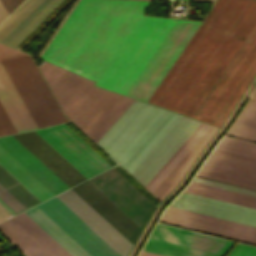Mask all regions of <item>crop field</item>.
Masks as SVG:
<instances>
[{
    "label": "crop field",
    "mask_w": 256,
    "mask_h": 256,
    "mask_svg": "<svg viewBox=\"0 0 256 256\" xmlns=\"http://www.w3.org/2000/svg\"><path fill=\"white\" fill-rule=\"evenodd\" d=\"M25 213L73 256H121L56 197ZM25 213L0 231L27 256H72Z\"/></svg>",
    "instance_id": "obj_3"
},
{
    "label": "crop field",
    "mask_w": 256,
    "mask_h": 256,
    "mask_svg": "<svg viewBox=\"0 0 256 256\" xmlns=\"http://www.w3.org/2000/svg\"><path fill=\"white\" fill-rule=\"evenodd\" d=\"M0 146L54 195L69 188L12 135L0 137Z\"/></svg>",
    "instance_id": "obj_13"
},
{
    "label": "crop field",
    "mask_w": 256,
    "mask_h": 256,
    "mask_svg": "<svg viewBox=\"0 0 256 256\" xmlns=\"http://www.w3.org/2000/svg\"><path fill=\"white\" fill-rule=\"evenodd\" d=\"M63 0H52L8 45L16 47L41 21H43Z\"/></svg>",
    "instance_id": "obj_21"
},
{
    "label": "crop field",
    "mask_w": 256,
    "mask_h": 256,
    "mask_svg": "<svg viewBox=\"0 0 256 256\" xmlns=\"http://www.w3.org/2000/svg\"><path fill=\"white\" fill-rule=\"evenodd\" d=\"M35 132L86 179L110 168L63 124L35 130Z\"/></svg>",
    "instance_id": "obj_5"
},
{
    "label": "crop field",
    "mask_w": 256,
    "mask_h": 256,
    "mask_svg": "<svg viewBox=\"0 0 256 256\" xmlns=\"http://www.w3.org/2000/svg\"><path fill=\"white\" fill-rule=\"evenodd\" d=\"M69 187L85 180L34 131L13 135Z\"/></svg>",
    "instance_id": "obj_12"
},
{
    "label": "crop field",
    "mask_w": 256,
    "mask_h": 256,
    "mask_svg": "<svg viewBox=\"0 0 256 256\" xmlns=\"http://www.w3.org/2000/svg\"><path fill=\"white\" fill-rule=\"evenodd\" d=\"M0 61L37 128L67 121L30 55L0 43Z\"/></svg>",
    "instance_id": "obj_4"
},
{
    "label": "crop field",
    "mask_w": 256,
    "mask_h": 256,
    "mask_svg": "<svg viewBox=\"0 0 256 256\" xmlns=\"http://www.w3.org/2000/svg\"><path fill=\"white\" fill-rule=\"evenodd\" d=\"M250 101H251V102H255V103H256V100H254V99H250Z\"/></svg>",
    "instance_id": "obj_28"
},
{
    "label": "crop field",
    "mask_w": 256,
    "mask_h": 256,
    "mask_svg": "<svg viewBox=\"0 0 256 256\" xmlns=\"http://www.w3.org/2000/svg\"><path fill=\"white\" fill-rule=\"evenodd\" d=\"M185 192L256 209V198L191 182Z\"/></svg>",
    "instance_id": "obj_17"
},
{
    "label": "crop field",
    "mask_w": 256,
    "mask_h": 256,
    "mask_svg": "<svg viewBox=\"0 0 256 256\" xmlns=\"http://www.w3.org/2000/svg\"><path fill=\"white\" fill-rule=\"evenodd\" d=\"M143 250L164 256H220L151 238H148Z\"/></svg>",
    "instance_id": "obj_19"
},
{
    "label": "crop field",
    "mask_w": 256,
    "mask_h": 256,
    "mask_svg": "<svg viewBox=\"0 0 256 256\" xmlns=\"http://www.w3.org/2000/svg\"><path fill=\"white\" fill-rule=\"evenodd\" d=\"M39 69L66 115L92 83L45 61ZM139 102L91 85L67 116L102 147ZM177 115L141 101L102 148L130 171ZM215 129L179 114L130 173L161 200Z\"/></svg>",
    "instance_id": "obj_2"
},
{
    "label": "crop field",
    "mask_w": 256,
    "mask_h": 256,
    "mask_svg": "<svg viewBox=\"0 0 256 256\" xmlns=\"http://www.w3.org/2000/svg\"><path fill=\"white\" fill-rule=\"evenodd\" d=\"M139 256H160V255H156V254L141 251Z\"/></svg>",
    "instance_id": "obj_26"
},
{
    "label": "crop field",
    "mask_w": 256,
    "mask_h": 256,
    "mask_svg": "<svg viewBox=\"0 0 256 256\" xmlns=\"http://www.w3.org/2000/svg\"><path fill=\"white\" fill-rule=\"evenodd\" d=\"M71 189L133 244L141 229L95 186L87 180Z\"/></svg>",
    "instance_id": "obj_11"
},
{
    "label": "crop field",
    "mask_w": 256,
    "mask_h": 256,
    "mask_svg": "<svg viewBox=\"0 0 256 256\" xmlns=\"http://www.w3.org/2000/svg\"><path fill=\"white\" fill-rule=\"evenodd\" d=\"M227 135L256 142V104L248 102Z\"/></svg>",
    "instance_id": "obj_18"
},
{
    "label": "crop field",
    "mask_w": 256,
    "mask_h": 256,
    "mask_svg": "<svg viewBox=\"0 0 256 256\" xmlns=\"http://www.w3.org/2000/svg\"><path fill=\"white\" fill-rule=\"evenodd\" d=\"M249 97L256 98V87L253 89Z\"/></svg>",
    "instance_id": "obj_27"
},
{
    "label": "crop field",
    "mask_w": 256,
    "mask_h": 256,
    "mask_svg": "<svg viewBox=\"0 0 256 256\" xmlns=\"http://www.w3.org/2000/svg\"><path fill=\"white\" fill-rule=\"evenodd\" d=\"M0 101L18 132L36 128L19 95L0 63ZM0 103V135L16 133L17 130Z\"/></svg>",
    "instance_id": "obj_10"
},
{
    "label": "crop field",
    "mask_w": 256,
    "mask_h": 256,
    "mask_svg": "<svg viewBox=\"0 0 256 256\" xmlns=\"http://www.w3.org/2000/svg\"><path fill=\"white\" fill-rule=\"evenodd\" d=\"M7 16L8 15H7L5 9L3 8V6L0 2V23H2L6 19Z\"/></svg>",
    "instance_id": "obj_25"
},
{
    "label": "crop field",
    "mask_w": 256,
    "mask_h": 256,
    "mask_svg": "<svg viewBox=\"0 0 256 256\" xmlns=\"http://www.w3.org/2000/svg\"><path fill=\"white\" fill-rule=\"evenodd\" d=\"M216 148L256 158V144L236 139L224 137Z\"/></svg>",
    "instance_id": "obj_22"
},
{
    "label": "crop field",
    "mask_w": 256,
    "mask_h": 256,
    "mask_svg": "<svg viewBox=\"0 0 256 256\" xmlns=\"http://www.w3.org/2000/svg\"><path fill=\"white\" fill-rule=\"evenodd\" d=\"M228 256H256V247L238 243Z\"/></svg>",
    "instance_id": "obj_24"
},
{
    "label": "crop field",
    "mask_w": 256,
    "mask_h": 256,
    "mask_svg": "<svg viewBox=\"0 0 256 256\" xmlns=\"http://www.w3.org/2000/svg\"><path fill=\"white\" fill-rule=\"evenodd\" d=\"M192 181L210 185V186H214V187H218V188L235 191V192H239V193H243V194H247V195H251V196H256V192H253V191H249V190H245V189H241V188H237V187H233V186H229V185H225V184H221V183H217V182H213V181H209V180H205V179H201V178H197V177H194Z\"/></svg>",
    "instance_id": "obj_23"
},
{
    "label": "crop field",
    "mask_w": 256,
    "mask_h": 256,
    "mask_svg": "<svg viewBox=\"0 0 256 256\" xmlns=\"http://www.w3.org/2000/svg\"><path fill=\"white\" fill-rule=\"evenodd\" d=\"M56 197L100 235L108 244H110L118 253L122 256H126L132 244L77 194L69 189Z\"/></svg>",
    "instance_id": "obj_8"
},
{
    "label": "crop field",
    "mask_w": 256,
    "mask_h": 256,
    "mask_svg": "<svg viewBox=\"0 0 256 256\" xmlns=\"http://www.w3.org/2000/svg\"><path fill=\"white\" fill-rule=\"evenodd\" d=\"M0 164L41 201L53 196L40 182L0 147Z\"/></svg>",
    "instance_id": "obj_16"
},
{
    "label": "crop field",
    "mask_w": 256,
    "mask_h": 256,
    "mask_svg": "<svg viewBox=\"0 0 256 256\" xmlns=\"http://www.w3.org/2000/svg\"><path fill=\"white\" fill-rule=\"evenodd\" d=\"M0 185L26 209L40 203L28 189L17 181L0 165ZM0 186V222L25 210L10 194Z\"/></svg>",
    "instance_id": "obj_15"
},
{
    "label": "crop field",
    "mask_w": 256,
    "mask_h": 256,
    "mask_svg": "<svg viewBox=\"0 0 256 256\" xmlns=\"http://www.w3.org/2000/svg\"><path fill=\"white\" fill-rule=\"evenodd\" d=\"M149 1L81 0L41 59L94 81ZM201 22L141 15L95 85L148 101ZM256 74V0H217L148 102L220 127Z\"/></svg>",
    "instance_id": "obj_1"
},
{
    "label": "crop field",
    "mask_w": 256,
    "mask_h": 256,
    "mask_svg": "<svg viewBox=\"0 0 256 256\" xmlns=\"http://www.w3.org/2000/svg\"><path fill=\"white\" fill-rule=\"evenodd\" d=\"M197 175L256 189V159L214 149Z\"/></svg>",
    "instance_id": "obj_7"
},
{
    "label": "crop field",
    "mask_w": 256,
    "mask_h": 256,
    "mask_svg": "<svg viewBox=\"0 0 256 256\" xmlns=\"http://www.w3.org/2000/svg\"><path fill=\"white\" fill-rule=\"evenodd\" d=\"M151 238L223 255L233 242L156 224Z\"/></svg>",
    "instance_id": "obj_14"
},
{
    "label": "crop field",
    "mask_w": 256,
    "mask_h": 256,
    "mask_svg": "<svg viewBox=\"0 0 256 256\" xmlns=\"http://www.w3.org/2000/svg\"><path fill=\"white\" fill-rule=\"evenodd\" d=\"M42 0H25L1 25L0 41Z\"/></svg>",
    "instance_id": "obj_20"
},
{
    "label": "crop field",
    "mask_w": 256,
    "mask_h": 256,
    "mask_svg": "<svg viewBox=\"0 0 256 256\" xmlns=\"http://www.w3.org/2000/svg\"><path fill=\"white\" fill-rule=\"evenodd\" d=\"M161 222L256 245V227L168 206Z\"/></svg>",
    "instance_id": "obj_6"
},
{
    "label": "crop field",
    "mask_w": 256,
    "mask_h": 256,
    "mask_svg": "<svg viewBox=\"0 0 256 256\" xmlns=\"http://www.w3.org/2000/svg\"><path fill=\"white\" fill-rule=\"evenodd\" d=\"M171 206L256 226V210L182 192Z\"/></svg>",
    "instance_id": "obj_9"
}]
</instances>
